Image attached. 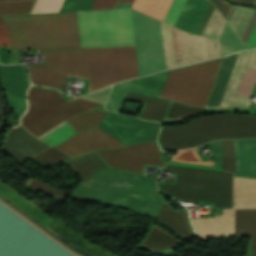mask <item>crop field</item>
Masks as SVG:
<instances>
[{"label": "crop field", "instance_id": "ac0d7876", "mask_svg": "<svg viewBox=\"0 0 256 256\" xmlns=\"http://www.w3.org/2000/svg\"><path fill=\"white\" fill-rule=\"evenodd\" d=\"M82 47L135 45L130 9L77 12ZM76 12L5 16L13 50L81 47Z\"/></svg>", "mask_w": 256, "mask_h": 256}, {"label": "crop field", "instance_id": "e1f06a70", "mask_svg": "<svg viewBox=\"0 0 256 256\" xmlns=\"http://www.w3.org/2000/svg\"><path fill=\"white\" fill-rule=\"evenodd\" d=\"M0 45L11 46L6 25H0Z\"/></svg>", "mask_w": 256, "mask_h": 256}, {"label": "crop field", "instance_id": "0bd39190", "mask_svg": "<svg viewBox=\"0 0 256 256\" xmlns=\"http://www.w3.org/2000/svg\"><path fill=\"white\" fill-rule=\"evenodd\" d=\"M247 44L256 47V27H255V29H254V31H253V33H252V35H251Z\"/></svg>", "mask_w": 256, "mask_h": 256}, {"label": "crop field", "instance_id": "92a150f3", "mask_svg": "<svg viewBox=\"0 0 256 256\" xmlns=\"http://www.w3.org/2000/svg\"><path fill=\"white\" fill-rule=\"evenodd\" d=\"M64 0H37L32 13L58 12ZM94 0H65L59 12L89 10Z\"/></svg>", "mask_w": 256, "mask_h": 256}, {"label": "crop field", "instance_id": "d1516ede", "mask_svg": "<svg viewBox=\"0 0 256 256\" xmlns=\"http://www.w3.org/2000/svg\"><path fill=\"white\" fill-rule=\"evenodd\" d=\"M98 128L129 146L156 140L160 124L142 122L107 111Z\"/></svg>", "mask_w": 256, "mask_h": 256}, {"label": "crop field", "instance_id": "5a996713", "mask_svg": "<svg viewBox=\"0 0 256 256\" xmlns=\"http://www.w3.org/2000/svg\"><path fill=\"white\" fill-rule=\"evenodd\" d=\"M45 63L27 65L31 82L60 90L65 75L89 79L86 48L66 50H39Z\"/></svg>", "mask_w": 256, "mask_h": 256}, {"label": "crop field", "instance_id": "1d83c4d3", "mask_svg": "<svg viewBox=\"0 0 256 256\" xmlns=\"http://www.w3.org/2000/svg\"><path fill=\"white\" fill-rule=\"evenodd\" d=\"M36 160H38L42 165L47 166L53 162L62 161L68 158H71L62 152L58 151L55 148H51L35 157Z\"/></svg>", "mask_w": 256, "mask_h": 256}, {"label": "crop field", "instance_id": "bc2a9ffb", "mask_svg": "<svg viewBox=\"0 0 256 256\" xmlns=\"http://www.w3.org/2000/svg\"><path fill=\"white\" fill-rule=\"evenodd\" d=\"M210 4L208 0H187L175 26L196 34Z\"/></svg>", "mask_w": 256, "mask_h": 256}, {"label": "crop field", "instance_id": "028f5c9d", "mask_svg": "<svg viewBox=\"0 0 256 256\" xmlns=\"http://www.w3.org/2000/svg\"><path fill=\"white\" fill-rule=\"evenodd\" d=\"M117 0H95L90 10L114 8Z\"/></svg>", "mask_w": 256, "mask_h": 256}, {"label": "crop field", "instance_id": "4177f3b9", "mask_svg": "<svg viewBox=\"0 0 256 256\" xmlns=\"http://www.w3.org/2000/svg\"><path fill=\"white\" fill-rule=\"evenodd\" d=\"M68 163L85 179L92 173L109 167L95 153L68 161Z\"/></svg>", "mask_w": 256, "mask_h": 256}, {"label": "crop field", "instance_id": "03da06ac", "mask_svg": "<svg viewBox=\"0 0 256 256\" xmlns=\"http://www.w3.org/2000/svg\"><path fill=\"white\" fill-rule=\"evenodd\" d=\"M10 1H16V0H10Z\"/></svg>", "mask_w": 256, "mask_h": 256}, {"label": "crop field", "instance_id": "34b2d1b8", "mask_svg": "<svg viewBox=\"0 0 256 256\" xmlns=\"http://www.w3.org/2000/svg\"><path fill=\"white\" fill-rule=\"evenodd\" d=\"M74 198L107 202L151 216L164 199L154 180L112 168L90 177Z\"/></svg>", "mask_w": 256, "mask_h": 256}, {"label": "crop field", "instance_id": "3316defc", "mask_svg": "<svg viewBox=\"0 0 256 256\" xmlns=\"http://www.w3.org/2000/svg\"><path fill=\"white\" fill-rule=\"evenodd\" d=\"M87 59L93 90L138 76L135 46L87 49Z\"/></svg>", "mask_w": 256, "mask_h": 256}, {"label": "crop field", "instance_id": "cbeb9de0", "mask_svg": "<svg viewBox=\"0 0 256 256\" xmlns=\"http://www.w3.org/2000/svg\"><path fill=\"white\" fill-rule=\"evenodd\" d=\"M111 166L140 173L145 164L163 166L155 142L98 152Z\"/></svg>", "mask_w": 256, "mask_h": 256}, {"label": "crop field", "instance_id": "214f88e0", "mask_svg": "<svg viewBox=\"0 0 256 256\" xmlns=\"http://www.w3.org/2000/svg\"><path fill=\"white\" fill-rule=\"evenodd\" d=\"M168 71L132 80L127 91L159 98Z\"/></svg>", "mask_w": 256, "mask_h": 256}, {"label": "crop field", "instance_id": "d32e631a", "mask_svg": "<svg viewBox=\"0 0 256 256\" xmlns=\"http://www.w3.org/2000/svg\"><path fill=\"white\" fill-rule=\"evenodd\" d=\"M27 184L34 187V188L40 189V190H42V191H44V192H46L50 195H53V196H55V197H57V198H59L63 201H65L69 197V194L64 193L60 190H57L55 188H52L50 186H47L45 184H42V183H40V182H38V181H36L32 178L27 182Z\"/></svg>", "mask_w": 256, "mask_h": 256}, {"label": "crop field", "instance_id": "f4fd0767", "mask_svg": "<svg viewBox=\"0 0 256 256\" xmlns=\"http://www.w3.org/2000/svg\"><path fill=\"white\" fill-rule=\"evenodd\" d=\"M225 23L216 10L204 36H200L161 22L167 69L221 56L219 36Z\"/></svg>", "mask_w": 256, "mask_h": 256}, {"label": "crop field", "instance_id": "120bbe31", "mask_svg": "<svg viewBox=\"0 0 256 256\" xmlns=\"http://www.w3.org/2000/svg\"><path fill=\"white\" fill-rule=\"evenodd\" d=\"M203 110L204 109H194V108H190V107L172 102L171 108H170V111H169V114L167 117L175 118V117H179V116H183V115H187V114H191V113H195V112H199V111H203ZM205 111H203V112H205ZM199 113H201V112H199ZM195 114H198V113H195ZM195 114H191V115H195ZM191 115H188V116H191ZM185 117H187V116L176 118V119L182 120Z\"/></svg>", "mask_w": 256, "mask_h": 256}, {"label": "crop field", "instance_id": "8a807250", "mask_svg": "<svg viewBox=\"0 0 256 256\" xmlns=\"http://www.w3.org/2000/svg\"><path fill=\"white\" fill-rule=\"evenodd\" d=\"M237 152L235 176L256 178V139L234 140ZM177 172L178 184H159L180 200L215 202V208H234V177ZM235 177V208L256 207V180ZM203 218V217H202ZM200 239L234 235V209L214 218L192 219ZM235 235H252L256 256V208L235 209Z\"/></svg>", "mask_w": 256, "mask_h": 256}, {"label": "crop field", "instance_id": "750c4746", "mask_svg": "<svg viewBox=\"0 0 256 256\" xmlns=\"http://www.w3.org/2000/svg\"><path fill=\"white\" fill-rule=\"evenodd\" d=\"M34 1L0 3V24H5L3 15L29 13Z\"/></svg>", "mask_w": 256, "mask_h": 256}, {"label": "crop field", "instance_id": "a9b5d70f", "mask_svg": "<svg viewBox=\"0 0 256 256\" xmlns=\"http://www.w3.org/2000/svg\"><path fill=\"white\" fill-rule=\"evenodd\" d=\"M104 111L87 110L66 120L75 132L96 128Z\"/></svg>", "mask_w": 256, "mask_h": 256}, {"label": "crop field", "instance_id": "b54c1fbb", "mask_svg": "<svg viewBox=\"0 0 256 256\" xmlns=\"http://www.w3.org/2000/svg\"><path fill=\"white\" fill-rule=\"evenodd\" d=\"M255 6H256V4H255Z\"/></svg>", "mask_w": 256, "mask_h": 256}, {"label": "crop field", "instance_id": "28ad6ade", "mask_svg": "<svg viewBox=\"0 0 256 256\" xmlns=\"http://www.w3.org/2000/svg\"><path fill=\"white\" fill-rule=\"evenodd\" d=\"M140 77L166 69L160 21L132 10Z\"/></svg>", "mask_w": 256, "mask_h": 256}, {"label": "crop field", "instance_id": "22f410ed", "mask_svg": "<svg viewBox=\"0 0 256 256\" xmlns=\"http://www.w3.org/2000/svg\"><path fill=\"white\" fill-rule=\"evenodd\" d=\"M222 145H223V155H224L223 172H219V171H222V168H218V167L188 164V163H196V164H204V165H211V166H213L214 164V162H202L198 154L194 150V148L184 149L171 159L173 161H181V162H188V163L170 161L169 164L203 168V169H211V170H219V171H211V170H203V169H195V168H187V167H179V166H171V165H167L166 167L234 176L235 160H236L234 142L233 140H224L222 141ZM222 145H221V141L213 142L214 157H215L214 166L222 167L223 165Z\"/></svg>", "mask_w": 256, "mask_h": 256}, {"label": "crop field", "instance_id": "730fd06b", "mask_svg": "<svg viewBox=\"0 0 256 256\" xmlns=\"http://www.w3.org/2000/svg\"><path fill=\"white\" fill-rule=\"evenodd\" d=\"M255 10L236 6L228 23L236 32L239 38H242Z\"/></svg>", "mask_w": 256, "mask_h": 256}, {"label": "crop field", "instance_id": "b80d0937", "mask_svg": "<svg viewBox=\"0 0 256 256\" xmlns=\"http://www.w3.org/2000/svg\"><path fill=\"white\" fill-rule=\"evenodd\" d=\"M230 1L245 4V5H254L256 2V0H230Z\"/></svg>", "mask_w": 256, "mask_h": 256}, {"label": "crop field", "instance_id": "e52e79f7", "mask_svg": "<svg viewBox=\"0 0 256 256\" xmlns=\"http://www.w3.org/2000/svg\"><path fill=\"white\" fill-rule=\"evenodd\" d=\"M221 62L222 58L171 70L161 97L190 105L205 106Z\"/></svg>", "mask_w": 256, "mask_h": 256}, {"label": "crop field", "instance_id": "5866460e", "mask_svg": "<svg viewBox=\"0 0 256 256\" xmlns=\"http://www.w3.org/2000/svg\"><path fill=\"white\" fill-rule=\"evenodd\" d=\"M215 6L221 11L226 21H228L235 6H231L223 0H211Z\"/></svg>", "mask_w": 256, "mask_h": 256}, {"label": "crop field", "instance_id": "d8731c3e", "mask_svg": "<svg viewBox=\"0 0 256 256\" xmlns=\"http://www.w3.org/2000/svg\"><path fill=\"white\" fill-rule=\"evenodd\" d=\"M246 69L256 70V49L225 56L206 107L245 108L248 96L236 93Z\"/></svg>", "mask_w": 256, "mask_h": 256}, {"label": "crop field", "instance_id": "d9b57169", "mask_svg": "<svg viewBox=\"0 0 256 256\" xmlns=\"http://www.w3.org/2000/svg\"><path fill=\"white\" fill-rule=\"evenodd\" d=\"M50 147L52 146L34 138L20 125L9 129L1 150L22 162Z\"/></svg>", "mask_w": 256, "mask_h": 256}, {"label": "crop field", "instance_id": "733c2abd", "mask_svg": "<svg viewBox=\"0 0 256 256\" xmlns=\"http://www.w3.org/2000/svg\"><path fill=\"white\" fill-rule=\"evenodd\" d=\"M0 77L12 111L23 114L26 110L25 93L29 86L24 65L0 66Z\"/></svg>", "mask_w": 256, "mask_h": 256}, {"label": "crop field", "instance_id": "dd49c442", "mask_svg": "<svg viewBox=\"0 0 256 256\" xmlns=\"http://www.w3.org/2000/svg\"><path fill=\"white\" fill-rule=\"evenodd\" d=\"M110 88L82 98L105 103ZM29 100L30 109L23 119V124L36 136L81 111L102 105L79 98L67 102L57 93L34 88L29 92Z\"/></svg>", "mask_w": 256, "mask_h": 256}, {"label": "crop field", "instance_id": "c035e120", "mask_svg": "<svg viewBox=\"0 0 256 256\" xmlns=\"http://www.w3.org/2000/svg\"><path fill=\"white\" fill-rule=\"evenodd\" d=\"M134 0H120L118 4L133 3Z\"/></svg>", "mask_w": 256, "mask_h": 256}, {"label": "crop field", "instance_id": "ae1a2a85", "mask_svg": "<svg viewBox=\"0 0 256 256\" xmlns=\"http://www.w3.org/2000/svg\"><path fill=\"white\" fill-rule=\"evenodd\" d=\"M220 42H221L222 56L232 53L234 51L251 48L246 44H244L243 42H241L236 37V35L233 33V31L230 29L227 23L220 36Z\"/></svg>", "mask_w": 256, "mask_h": 256}, {"label": "crop field", "instance_id": "4a817a6b", "mask_svg": "<svg viewBox=\"0 0 256 256\" xmlns=\"http://www.w3.org/2000/svg\"><path fill=\"white\" fill-rule=\"evenodd\" d=\"M171 2L172 0H135L131 8L163 20ZM185 2L186 0H173L163 21L175 25Z\"/></svg>", "mask_w": 256, "mask_h": 256}, {"label": "crop field", "instance_id": "c21b1889", "mask_svg": "<svg viewBox=\"0 0 256 256\" xmlns=\"http://www.w3.org/2000/svg\"><path fill=\"white\" fill-rule=\"evenodd\" d=\"M3 1H8V0H0V2H3Z\"/></svg>", "mask_w": 256, "mask_h": 256}, {"label": "crop field", "instance_id": "bd1437ed", "mask_svg": "<svg viewBox=\"0 0 256 256\" xmlns=\"http://www.w3.org/2000/svg\"><path fill=\"white\" fill-rule=\"evenodd\" d=\"M67 123V122H66ZM65 122L55 126L54 128H52L51 130L47 131L46 133H44L43 135H41L40 137L38 138H43L45 137L46 135H48L49 133L53 132L54 130L58 129L59 127H61L62 125L66 124ZM75 132L72 130V128L66 124L64 126H62L61 128H59L58 130L54 131L53 133L49 134L48 136H46L45 138H43L42 140H46V139H51L52 141L49 142V144L51 145H56L57 143H59L60 141H62L63 139H65L66 137L74 134ZM47 140L46 142L50 141V140Z\"/></svg>", "mask_w": 256, "mask_h": 256}, {"label": "crop field", "instance_id": "5142ce71", "mask_svg": "<svg viewBox=\"0 0 256 256\" xmlns=\"http://www.w3.org/2000/svg\"><path fill=\"white\" fill-rule=\"evenodd\" d=\"M125 146L99 129L76 134L60 143L57 148L68 155L85 154L92 150Z\"/></svg>", "mask_w": 256, "mask_h": 256}, {"label": "crop field", "instance_id": "412701ff", "mask_svg": "<svg viewBox=\"0 0 256 256\" xmlns=\"http://www.w3.org/2000/svg\"><path fill=\"white\" fill-rule=\"evenodd\" d=\"M256 137V117L220 115L202 118L186 126L163 128L164 150L188 148L222 138Z\"/></svg>", "mask_w": 256, "mask_h": 256}, {"label": "crop field", "instance_id": "00972430", "mask_svg": "<svg viewBox=\"0 0 256 256\" xmlns=\"http://www.w3.org/2000/svg\"><path fill=\"white\" fill-rule=\"evenodd\" d=\"M127 98L147 103L140 117L162 121L168 101L130 93H128Z\"/></svg>", "mask_w": 256, "mask_h": 256}, {"label": "crop field", "instance_id": "dafd665d", "mask_svg": "<svg viewBox=\"0 0 256 256\" xmlns=\"http://www.w3.org/2000/svg\"><path fill=\"white\" fill-rule=\"evenodd\" d=\"M156 218L161 220L176 232L182 234L184 237L192 233L190 224L186 217V211L173 213L169 207L164 204L159 210Z\"/></svg>", "mask_w": 256, "mask_h": 256}, {"label": "crop field", "instance_id": "d3111659", "mask_svg": "<svg viewBox=\"0 0 256 256\" xmlns=\"http://www.w3.org/2000/svg\"><path fill=\"white\" fill-rule=\"evenodd\" d=\"M129 82L126 81L113 85L106 105L107 110L120 111Z\"/></svg>", "mask_w": 256, "mask_h": 256}, {"label": "crop field", "instance_id": "eef30255", "mask_svg": "<svg viewBox=\"0 0 256 256\" xmlns=\"http://www.w3.org/2000/svg\"><path fill=\"white\" fill-rule=\"evenodd\" d=\"M179 242V240L169 236L158 228L153 227L149 236L143 244L149 246L154 250H164L173 247Z\"/></svg>", "mask_w": 256, "mask_h": 256}]
</instances>
